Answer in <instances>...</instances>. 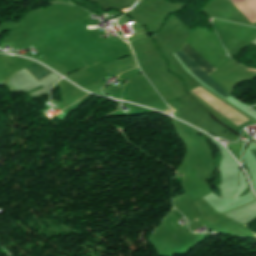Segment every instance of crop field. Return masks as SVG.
<instances>
[{"mask_svg":"<svg viewBox=\"0 0 256 256\" xmlns=\"http://www.w3.org/2000/svg\"><path fill=\"white\" fill-rule=\"evenodd\" d=\"M191 92L237 126L249 120L200 87Z\"/></svg>","mask_w":256,"mask_h":256,"instance_id":"obj_1","label":"crop field"},{"mask_svg":"<svg viewBox=\"0 0 256 256\" xmlns=\"http://www.w3.org/2000/svg\"><path fill=\"white\" fill-rule=\"evenodd\" d=\"M175 54L187 67V69L194 73L207 86H209L225 98L229 96L224 89H222L214 80H212L206 73H204L199 67H197L191 60H189V57L187 56V58L181 50L175 52Z\"/></svg>","mask_w":256,"mask_h":256,"instance_id":"obj_2","label":"crop field"},{"mask_svg":"<svg viewBox=\"0 0 256 256\" xmlns=\"http://www.w3.org/2000/svg\"><path fill=\"white\" fill-rule=\"evenodd\" d=\"M181 50L184 52L186 56H188L196 65H198L208 75L216 70L186 42Z\"/></svg>","mask_w":256,"mask_h":256,"instance_id":"obj_3","label":"crop field"},{"mask_svg":"<svg viewBox=\"0 0 256 256\" xmlns=\"http://www.w3.org/2000/svg\"><path fill=\"white\" fill-rule=\"evenodd\" d=\"M30 74H32L37 80L41 79L42 77L48 75L50 72L45 70L43 67H41L38 64H34L30 67L25 68ZM31 75V76H32ZM32 76V77H33ZM33 77V78H34Z\"/></svg>","mask_w":256,"mask_h":256,"instance_id":"obj_4","label":"crop field"},{"mask_svg":"<svg viewBox=\"0 0 256 256\" xmlns=\"http://www.w3.org/2000/svg\"><path fill=\"white\" fill-rule=\"evenodd\" d=\"M244 227L256 236V218L254 220H252L251 222L247 223L246 225H244Z\"/></svg>","mask_w":256,"mask_h":256,"instance_id":"obj_5","label":"crop field"},{"mask_svg":"<svg viewBox=\"0 0 256 256\" xmlns=\"http://www.w3.org/2000/svg\"><path fill=\"white\" fill-rule=\"evenodd\" d=\"M250 152L256 157V149L250 150Z\"/></svg>","mask_w":256,"mask_h":256,"instance_id":"obj_6","label":"crop field"}]
</instances>
